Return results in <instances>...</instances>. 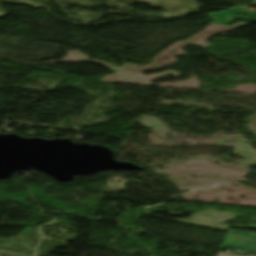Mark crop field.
<instances>
[{
	"mask_svg": "<svg viewBox=\"0 0 256 256\" xmlns=\"http://www.w3.org/2000/svg\"><path fill=\"white\" fill-rule=\"evenodd\" d=\"M244 13L248 15V18H239L235 14ZM211 19L213 22L218 24L227 25L235 21L236 19H241L249 22H256V11H251L247 9H234L230 11L220 12L212 15L206 16ZM228 26V25H227Z\"/></svg>",
	"mask_w": 256,
	"mask_h": 256,
	"instance_id": "crop-field-1",
	"label": "crop field"
},
{
	"mask_svg": "<svg viewBox=\"0 0 256 256\" xmlns=\"http://www.w3.org/2000/svg\"><path fill=\"white\" fill-rule=\"evenodd\" d=\"M218 256H232V255H218Z\"/></svg>",
	"mask_w": 256,
	"mask_h": 256,
	"instance_id": "crop-field-3",
	"label": "crop field"
},
{
	"mask_svg": "<svg viewBox=\"0 0 256 256\" xmlns=\"http://www.w3.org/2000/svg\"><path fill=\"white\" fill-rule=\"evenodd\" d=\"M230 232H235V233H241V234H246V235H251V236H256V233H251V232H245V231H239V230H233L229 229Z\"/></svg>",
	"mask_w": 256,
	"mask_h": 256,
	"instance_id": "crop-field-2",
	"label": "crop field"
}]
</instances>
